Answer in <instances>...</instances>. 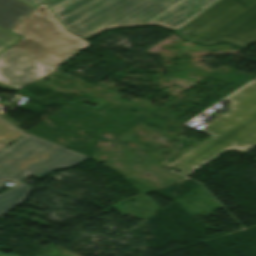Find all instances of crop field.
<instances>
[{"instance_id": "obj_1", "label": "crop field", "mask_w": 256, "mask_h": 256, "mask_svg": "<svg viewBox=\"0 0 256 256\" xmlns=\"http://www.w3.org/2000/svg\"><path fill=\"white\" fill-rule=\"evenodd\" d=\"M45 3L67 31L86 40L113 28L157 25L176 30L219 0H21Z\"/></svg>"}, {"instance_id": "obj_2", "label": "crop field", "mask_w": 256, "mask_h": 256, "mask_svg": "<svg viewBox=\"0 0 256 256\" xmlns=\"http://www.w3.org/2000/svg\"><path fill=\"white\" fill-rule=\"evenodd\" d=\"M230 110L199 130L211 135L167 165L188 176L225 150L248 152L256 146V81L228 98Z\"/></svg>"}, {"instance_id": "obj_3", "label": "crop field", "mask_w": 256, "mask_h": 256, "mask_svg": "<svg viewBox=\"0 0 256 256\" xmlns=\"http://www.w3.org/2000/svg\"><path fill=\"white\" fill-rule=\"evenodd\" d=\"M11 31L25 37L11 49L55 68L89 45L88 41L67 32L44 4Z\"/></svg>"}, {"instance_id": "obj_4", "label": "crop field", "mask_w": 256, "mask_h": 256, "mask_svg": "<svg viewBox=\"0 0 256 256\" xmlns=\"http://www.w3.org/2000/svg\"><path fill=\"white\" fill-rule=\"evenodd\" d=\"M174 33L204 45L226 41L246 48L256 42V14L236 0H220Z\"/></svg>"}, {"instance_id": "obj_5", "label": "crop field", "mask_w": 256, "mask_h": 256, "mask_svg": "<svg viewBox=\"0 0 256 256\" xmlns=\"http://www.w3.org/2000/svg\"><path fill=\"white\" fill-rule=\"evenodd\" d=\"M85 157L27 134L0 152V188L4 180L16 184L27 175L40 178L56 168L72 167Z\"/></svg>"}, {"instance_id": "obj_6", "label": "crop field", "mask_w": 256, "mask_h": 256, "mask_svg": "<svg viewBox=\"0 0 256 256\" xmlns=\"http://www.w3.org/2000/svg\"><path fill=\"white\" fill-rule=\"evenodd\" d=\"M54 69L8 49L0 54V88L18 90Z\"/></svg>"}, {"instance_id": "obj_7", "label": "crop field", "mask_w": 256, "mask_h": 256, "mask_svg": "<svg viewBox=\"0 0 256 256\" xmlns=\"http://www.w3.org/2000/svg\"><path fill=\"white\" fill-rule=\"evenodd\" d=\"M32 11L18 0H0V26L10 30Z\"/></svg>"}, {"instance_id": "obj_8", "label": "crop field", "mask_w": 256, "mask_h": 256, "mask_svg": "<svg viewBox=\"0 0 256 256\" xmlns=\"http://www.w3.org/2000/svg\"><path fill=\"white\" fill-rule=\"evenodd\" d=\"M32 189L30 185L20 182L11 189L0 193V217L14 206L22 203Z\"/></svg>"}, {"instance_id": "obj_9", "label": "crop field", "mask_w": 256, "mask_h": 256, "mask_svg": "<svg viewBox=\"0 0 256 256\" xmlns=\"http://www.w3.org/2000/svg\"><path fill=\"white\" fill-rule=\"evenodd\" d=\"M22 133L0 120V149Z\"/></svg>"}, {"instance_id": "obj_10", "label": "crop field", "mask_w": 256, "mask_h": 256, "mask_svg": "<svg viewBox=\"0 0 256 256\" xmlns=\"http://www.w3.org/2000/svg\"><path fill=\"white\" fill-rule=\"evenodd\" d=\"M20 38L22 37L0 28V52L17 40H19Z\"/></svg>"}, {"instance_id": "obj_11", "label": "crop field", "mask_w": 256, "mask_h": 256, "mask_svg": "<svg viewBox=\"0 0 256 256\" xmlns=\"http://www.w3.org/2000/svg\"><path fill=\"white\" fill-rule=\"evenodd\" d=\"M250 8L254 9L256 11V0H240Z\"/></svg>"}, {"instance_id": "obj_12", "label": "crop field", "mask_w": 256, "mask_h": 256, "mask_svg": "<svg viewBox=\"0 0 256 256\" xmlns=\"http://www.w3.org/2000/svg\"><path fill=\"white\" fill-rule=\"evenodd\" d=\"M0 117H2L3 119L7 120L8 122L12 123L15 126H19L20 124H18L17 122H15L14 120H12L11 118L8 117V115H6L5 113L0 111Z\"/></svg>"}, {"instance_id": "obj_13", "label": "crop field", "mask_w": 256, "mask_h": 256, "mask_svg": "<svg viewBox=\"0 0 256 256\" xmlns=\"http://www.w3.org/2000/svg\"><path fill=\"white\" fill-rule=\"evenodd\" d=\"M239 1V0H238ZM240 2V1H239ZM242 3V2H241ZM243 4V3H242ZM246 6V5H245ZM247 7V6H246ZM249 8V7H248ZM250 9V8H249ZM250 10H252V9H250ZM253 12H255L254 10H252ZM256 13V12H255Z\"/></svg>"}]
</instances>
